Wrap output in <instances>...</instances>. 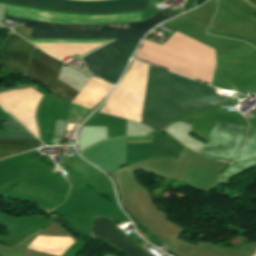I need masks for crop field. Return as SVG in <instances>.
Listing matches in <instances>:
<instances>
[{"instance_id":"8a807250","label":"crop field","mask_w":256,"mask_h":256,"mask_svg":"<svg viewBox=\"0 0 256 256\" xmlns=\"http://www.w3.org/2000/svg\"><path fill=\"white\" fill-rule=\"evenodd\" d=\"M213 88L150 65L141 123L162 130L181 116L228 102Z\"/></svg>"},{"instance_id":"ac0d7876","label":"crop field","mask_w":256,"mask_h":256,"mask_svg":"<svg viewBox=\"0 0 256 256\" xmlns=\"http://www.w3.org/2000/svg\"><path fill=\"white\" fill-rule=\"evenodd\" d=\"M2 1L30 5V6H37V7L89 11V12L133 10V9L144 8L146 6V5H142V6L106 8V9H85V8L53 6V5L32 3V2H26V1H20V0H2ZM171 16H174V15L168 11L163 10L147 21L129 23V24H119V25H104L100 28V30L148 31L157 23ZM7 18L15 19L32 28L60 29V30H97V25H66V24L46 23V22L10 17V16H7ZM40 29H33L28 39H140L141 36L145 33V32H123V31H60V30H40Z\"/></svg>"},{"instance_id":"34b2d1b8","label":"crop field","mask_w":256,"mask_h":256,"mask_svg":"<svg viewBox=\"0 0 256 256\" xmlns=\"http://www.w3.org/2000/svg\"><path fill=\"white\" fill-rule=\"evenodd\" d=\"M138 41L116 40L84 57V62L90 71L115 84Z\"/></svg>"},{"instance_id":"412701ff","label":"crop field","mask_w":256,"mask_h":256,"mask_svg":"<svg viewBox=\"0 0 256 256\" xmlns=\"http://www.w3.org/2000/svg\"><path fill=\"white\" fill-rule=\"evenodd\" d=\"M247 127L216 121L206 145L198 154L231 162L245 140Z\"/></svg>"},{"instance_id":"f4fd0767","label":"crop field","mask_w":256,"mask_h":256,"mask_svg":"<svg viewBox=\"0 0 256 256\" xmlns=\"http://www.w3.org/2000/svg\"><path fill=\"white\" fill-rule=\"evenodd\" d=\"M61 64L35 48L25 77L41 81L55 96L72 102L78 92L57 79Z\"/></svg>"},{"instance_id":"dd49c442","label":"crop field","mask_w":256,"mask_h":256,"mask_svg":"<svg viewBox=\"0 0 256 256\" xmlns=\"http://www.w3.org/2000/svg\"><path fill=\"white\" fill-rule=\"evenodd\" d=\"M80 154L110 175L125 166V137L94 144Z\"/></svg>"},{"instance_id":"e52e79f7","label":"crop field","mask_w":256,"mask_h":256,"mask_svg":"<svg viewBox=\"0 0 256 256\" xmlns=\"http://www.w3.org/2000/svg\"><path fill=\"white\" fill-rule=\"evenodd\" d=\"M34 47L16 34L11 35L1 47L3 58L0 65L23 74L28 64L29 54Z\"/></svg>"},{"instance_id":"d8731c3e","label":"crop field","mask_w":256,"mask_h":256,"mask_svg":"<svg viewBox=\"0 0 256 256\" xmlns=\"http://www.w3.org/2000/svg\"><path fill=\"white\" fill-rule=\"evenodd\" d=\"M108 218H95L93 220L92 235L105 239L123 251L127 256H151L140 248L125 240L117 227Z\"/></svg>"},{"instance_id":"5a996713","label":"crop field","mask_w":256,"mask_h":256,"mask_svg":"<svg viewBox=\"0 0 256 256\" xmlns=\"http://www.w3.org/2000/svg\"><path fill=\"white\" fill-rule=\"evenodd\" d=\"M256 164V131L249 127L247 140L239 155L233 160L218 183L228 181Z\"/></svg>"},{"instance_id":"3316defc","label":"crop field","mask_w":256,"mask_h":256,"mask_svg":"<svg viewBox=\"0 0 256 256\" xmlns=\"http://www.w3.org/2000/svg\"><path fill=\"white\" fill-rule=\"evenodd\" d=\"M0 138L36 139L9 114L7 116V131H0ZM0 139V144L32 145L39 144L38 140Z\"/></svg>"},{"instance_id":"28ad6ade","label":"crop field","mask_w":256,"mask_h":256,"mask_svg":"<svg viewBox=\"0 0 256 256\" xmlns=\"http://www.w3.org/2000/svg\"><path fill=\"white\" fill-rule=\"evenodd\" d=\"M35 146H7L0 145V159L6 158L12 155H16L31 149H34Z\"/></svg>"},{"instance_id":"d1516ede","label":"crop field","mask_w":256,"mask_h":256,"mask_svg":"<svg viewBox=\"0 0 256 256\" xmlns=\"http://www.w3.org/2000/svg\"><path fill=\"white\" fill-rule=\"evenodd\" d=\"M176 33H177V32H175L169 39H171ZM169 39H168V40H169ZM189 39H190V38H189ZM168 40H167V41H168ZM191 40H192V39H191ZM143 41H144V40H143ZM146 41H147V40H146ZM167 41H166V42H167ZM193 41H194V40H193ZM166 42H165V43H166ZM142 43H143V42H142ZM151 43H152V42H151ZM165 43H164V44H165ZM154 44H155V43H154ZM164 44H163V45H164ZM200 44H201V43H200ZM163 45H162V46H163ZM202 45H203V44H202ZM159 46H160V45H159ZM204 46H205V45H204ZM141 47H142V44H141L140 48L138 49V51H137L135 57H137L138 52H139V50L141 49ZM206 47H207V46H206ZM208 48H209V47H208ZM210 49H211V48H210ZM212 50H213V49H212ZM214 59H215V52H214V50H213V68H214ZM212 73H213V69H212ZM211 78H212V75H211ZM210 83H211V81H210Z\"/></svg>"},{"instance_id":"22f410ed","label":"crop field","mask_w":256,"mask_h":256,"mask_svg":"<svg viewBox=\"0 0 256 256\" xmlns=\"http://www.w3.org/2000/svg\"><path fill=\"white\" fill-rule=\"evenodd\" d=\"M0 130H6V119H0Z\"/></svg>"}]
</instances>
